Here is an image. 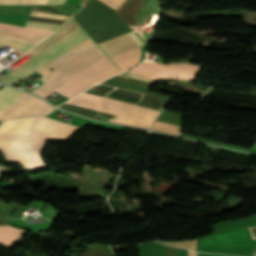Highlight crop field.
<instances>
[{"label":"crop field","instance_id":"1","mask_svg":"<svg viewBox=\"0 0 256 256\" xmlns=\"http://www.w3.org/2000/svg\"><path fill=\"white\" fill-rule=\"evenodd\" d=\"M77 129L45 117L3 121L0 125V150L7 160L18 161L25 169L44 166L41 151L45 143L66 140Z\"/></svg>","mask_w":256,"mask_h":256},{"label":"crop field","instance_id":"2","mask_svg":"<svg viewBox=\"0 0 256 256\" xmlns=\"http://www.w3.org/2000/svg\"><path fill=\"white\" fill-rule=\"evenodd\" d=\"M67 103L119 116L114 117L109 121L146 128H150L159 114V111L85 92L67 101Z\"/></svg>","mask_w":256,"mask_h":256},{"label":"crop field","instance_id":"3","mask_svg":"<svg viewBox=\"0 0 256 256\" xmlns=\"http://www.w3.org/2000/svg\"><path fill=\"white\" fill-rule=\"evenodd\" d=\"M73 17L96 43L131 31L114 10L97 0L91 1Z\"/></svg>","mask_w":256,"mask_h":256},{"label":"crop field","instance_id":"4","mask_svg":"<svg viewBox=\"0 0 256 256\" xmlns=\"http://www.w3.org/2000/svg\"><path fill=\"white\" fill-rule=\"evenodd\" d=\"M87 37L89 36L85 31L81 27L78 28L28 62L1 77L0 81L12 85L17 84L42 66L79 44Z\"/></svg>","mask_w":256,"mask_h":256},{"label":"crop field","instance_id":"5","mask_svg":"<svg viewBox=\"0 0 256 256\" xmlns=\"http://www.w3.org/2000/svg\"><path fill=\"white\" fill-rule=\"evenodd\" d=\"M55 108L40 99L10 87L0 90V120L37 116Z\"/></svg>","mask_w":256,"mask_h":256},{"label":"crop field","instance_id":"6","mask_svg":"<svg viewBox=\"0 0 256 256\" xmlns=\"http://www.w3.org/2000/svg\"><path fill=\"white\" fill-rule=\"evenodd\" d=\"M119 72V69L107 56H105L79 73L70 77L55 89L45 93L42 95V97L45 98L56 91L70 98L87 87Z\"/></svg>","mask_w":256,"mask_h":256},{"label":"crop field","instance_id":"7","mask_svg":"<svg viewBox=\"0 0 256 256\" xmlns=\"http://www.w3.org/2000/svg\"><path fill=\"white\" fill-rule=\"evenodd\" d=\"M199 66L189 64H150L145 63L129 72L155 80L159 76H175L193 79Z\"/></svg>","mask_w":256,"mask_h":256},{"label":"crop field","instance_id":"8","mask_svg":"<svg viewBox=\"0 0 256 256\" xmlns=\"http://www.w3.org/2000/svg\"><path fill=\"white\" fill-rule=\"evenodd\" d=\"M96 48L98 47L91 40V38H87L58 59L50 62L48 65L37 71L38 73L43 75L39 79L43 82L46 81L53 75L57 74L58 72H60L61 70H63L64 68Z\"/></svg>","mask_w":256,"mask_h":256},{"label":"crop field","instance_id":"9","mask_svg":"<svg viewBox=\"0 0 256 256\" xmlns=\"http://www.w3.org/2000/svg\"><path fill=\"white\" fill-rule=\"evenodd\" d=\"M103 53L100 49H97L96 51L92 52L88 56H86L83 59H81L80 61H78L77 63L73 64L69 68H67L64 71H62L61 73H59L55 77L51 78L50 80H48L41 86L37 87L32 92L41 96L45 92L51 90L52 88L56 87L60 83L64 82L70 76L77 73L78 71H80L81 69L86 67L87 65L91 64L98 58L102 57L105 54V53L104 54Z\"/></svg>","mask_w":256,"mask_h":256},{"label":"crop field","instance_id":"10","mask_svg":"<svg viewBox=\"0 0 256 256\" xmlns=\"http://www.w3.org/2000/svg\"><path fill=\"white\" fill-rule=\"evenodd\" d=\"M103 51L109 56L131 50L133 48L144 46L142 41L135 35L133 31L110 40L98 43Z\"/></svg>","mask_w":256,"mask_h":256},{"label":"crop field","instance_id":"11","mask_svg":"<svg viewBox=\"0 0 256 256\" xmlns=\"http://www.w3.org/2000/svg\"><path fill=\"white\" fill-rule=\"evenodd\" d=\"M0 33L31 41V42H39L46 36L52 34V32L42 31V30H36L21 26H15V25H9V24H3L0 23Z\"/></svg>","mask_w":256,"mask_h":256},{"label":"crop field","instance_id":"12","mask_svg":"<svg viewBox=\"0 0 256 256\" xmlns=\"http://www.w3.org/2000/svg\"><path fill=\"white\" fill-rule=\"evenodd\" d=\"M78 27H80L78 25V23L73 18H71L57 32H55L53 35L47 37L43 41H41L38 45H36L27 54H29L32 57L35 56L36 54H38L39 52L43 51L44 49H46L47 47H49L53 43L57 42L58 40H60L61 38H63L67 34H69L70 32L74 31Z\"/></svg>","mask_w":256,"mask_h":256},{"label":"crop field","instance_id":"13","mask_svg":"<svg viewBox=\"0 0 256 256\" xmlns=\"http://www.w3.org/2000/svg\"><path fill=\"white\" fill-rule=\"evenodd\" d=\"M141 57V48L111 57L121 71H125L138 64Z\"/></svg>","mask_w":256,"mask_h":256},{"label":"crop field","instance_id":"14","mask_svg":"<svg viewBox=\"0 0 256 256\" xmlns=\"http://www.w3.org/2000/svg\"><path fill=\"white\" fill-rule=\"evenodd\" d=\"M0 224H6L0 217ZM26 231L0 225V243L13 245Z\"/></svg>","mask_w":256,"mask_h":256},{"label":"crop field","instance_id":"15","mask_svg":"<svg viewBox=\"0 0 256 256\" xmlns=\"http://www.w3.org/2000/svg\"><path fill=\"white\" fill-rule=\"evenodd\" d=\"M8 45H10L16 49L27 52L35 44L26 42V41H22V40H18V39L1 34L0 35V47L4 48Z\"/></svg>","mask_w":256,"mask_h":256},{"label":"crop field","instance_id":"16","mask_svg":"<svg viewBox=\"0 0 256 256\" xmlns=\"http://www.w3.org/2000/svg\"><path fill=\"white\" fill-rule=\"evenodd\" d=\"M60 107L71 110L75 113H79V114H84L86 116L92 117V118H96V119H102V120H106L110 117H113L112 115H108V114H104V113H100L94 110H90V109H85V108H80V107H76V106H71L68 105L66 103H63L62 105H60Z\"/></svg>","mask_w":256,"mask_h":256},{"label":"crop field","instance_id":"17","mask_svg":"<svg viewBox=\"0 0 256 256\" xmlns=\"http://www.w3.org/2000/svg\"><path fill=\"white\" fill-rule=\"evenodd\" d=\"M32 5L0 6V13L28 15Z\"/></svg>","mask_w":256,"mask_h":256},{"label":"crop field","instance_id":"18","mask_svg":"<svg viewBox=\"0 0 256 256\" xmlns=\"http://www.w3.org/2000/svg\"><path fill=\"white\" fill-rule=\"evenodd\" d=\"M25 26L36 28V29L52 31V32H55L57 29L61 27V25H58V24H49V23H40V22H31V21H27Z\"/></svg>","mask_w":256,"mask_h":256},{"label":"crop field","instance_id":"19","mask_svg":"<svg viewBox=\"0 0 256 256\" xmlns=\"http://www.w3.org/2000/svg\"><path fill=\"white\" fill-rule=\"evenodd\" d=\"M181 127L156 121L151 129L178 134Z\"/></svg>","mask_w":256,"mask_h":256},{"label":"crop field","instance_id":"20","mask_svg":"<svg viewBox=\"0 0 256 256\" xmlns=\"http://www.w3.org/2000/svg\"><path fill=\"white\" fill-rule=\"evenodd\" d=\"M159 242H162L164 244L174 245V246L185 247V248H189L191 250H195L196 251L197 239H195V240H188V241H159Z\"/></svg>","mask_w":256,"mask_h":256},{"label":"crop field","instance_id":"21","mask_svg":"<svg viewBox=\"0 0 256 256\" xmlns=\"http://www.w3.org/2000/svg\"><path fill=\"white\" fill-rule=\"evenodd\" d=\"M112 8H116L123 0H101Z\"/></svg>","mask_w":256,"mask_h":256},{"label":"crop field","instance_id":"22","mask_svg":"<svg viewBox=\"0 0 256 256\" xmlns=\"http://www.w3.org/2000/svg\"><path fill=\"white\" fill-rule=\"evenodd\" d=\"M47 0H22L21 4H46Z\"/></svg>","mask_w":256,"mask_h":256},{"label":"crop field","instance_id":"23","mask_svg":"<svg viewBox=\"0 0 256 256\" xmlns=\"http://www.w3.org/2000/svg\"><path fill=\"white\" fill-rule=\"evenodd\" d=\"M166 256H177L176 248L165 245Z\"/></svg>","mask_w":256,"mask_h":256},{"label":"crop field","instance_id":"24","mask_svg":"<svg viewBox=\"0 0 256 256\" xmlns=\"http://www.w3.org/2000/svg\"><path fill=\"white\" fill-rule=\"evenodd\" d=\"M21 0H0V4H20Z\"/></svg>","mask_w":256,"mask_h":256},{"label":"crop field","instance_id":"25","mask_svg":"<svg viewBox=\"0 0 256 256\" xmlns=\"http://www.w3.org/2000/svg\"><path fill=\"white\" fill-rule=\"evenodd\" d=\"M86 0H66L65 4H85Z\"/></svg>","mask_w":256,"mask_h":256},{"label":"crop field","instance_id":"26","mask_svg":"<svg viewBox=\"0 0 256 256\" xmlns=\"http://www.w3.org/2000/svg\"><path fill=\"white\" fill-rule=\"evenodd\" d=\"M64 0H48L47 4H63Z\"/></svg>","mask_w":256,"mask_h":256},{"label":"crop field","instance_id":"27","mask_svg":"<svg viewBox=\"0 0 256 256\" xmlns=\"http://www.w3.org/2000/svg\"><path fill=\"white\" fill-rule=\"evenodd\" d=\"M9 170H11V169L0 166V176L3 175L4 173L8 172Z\"/></svg>","mask_w":256,"mask_h":256},{"label":"crop field","instance_id":"28","mask_svg":"<svg viewBox=\"0 0 256 256\" xmlns=\"http://www.w3.org/2000/svg\"><path fill=\"white\" fill-rule=\"evenodd\" d=\"M188 253H189V256H197L196 253L193 252V251H189V250H188Z\"/></svg>","mask_w":256,"mask_h":256}]
</instances>
